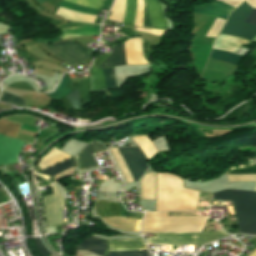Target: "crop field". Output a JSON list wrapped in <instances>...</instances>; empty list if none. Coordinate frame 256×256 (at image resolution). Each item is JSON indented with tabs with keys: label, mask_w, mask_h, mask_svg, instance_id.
Returning <instances> with one entry per match:
<instances>
[{
	"label": "crop field",
	"mask_w": 256,
	"mask_h": 256,
	"mask_svg": "<svg viewBox=\"0 0 256 256\" xmlns=\"http://www.w3.org/2000/svg\"><path fill=\"white\" fill-rule=\"evenodd\" d=\"M75 84H77L81 90V93L83 95L84 104H88L91 102L90 98V77L83 78L77 81H74Z\"/></svg>",
	"instance_id": "21"
},
{
	"label": "crop field",
	"mask_w": 256,
	"mask_h": 256,
	"mask_svg": "<svg viewBox=\"0 0 256 256\" xmlns=\"http://www.w3.org/2000/svg\"><path fill=\"white\" fill-rule=\"evenodd\" d=\"M250 103H251V101L245 103L244 105L237 108L236 110H234L232 113H230L229 115H227L223 119H236V118H238L240 115H242L243 113H245L247 110L250 109Z\"/></svg>",
	"instance_id": "27"
},
{
	"label": "crop field",
	"mask_w": 256,
	"mask_h": 256,
	"mask_svg": "<svg viewBox=\"0 0 256 256\" xmlns=\"http://www.w3.org/2000/svg\"><path fill=\"white\" fill-rule=\"evenodd\" d=\"M224 23H225L224 20L216 18L213 25L211 26L208 33L206 34V36L216 37L219 34Z\"/></svg>",
	"instance_id": "26"
},
{
	"label": "crop field",
	"mask_w": 256,
	"mask_h": 256,
	"mask_svg": "<svg viewBox=\"0 0 256 256\" xmlns=\"http://www.w3.org/2000/svg\"><path fill=\"white\" fill-rule=\"evenodd\" d=\"M143 150L148 160L152 158L157 152L148 136H136L132 138Z\"/></svg>",
	"instance_id": "19"
},
{
	"label": "crop field",
	"mask_w": 256,
	"mask_h": 256,
	"mask_svg": "<svg viewBox=\"0 0 256 256\" xmlns=\"http://www.w3.org/2000/svg\"><path fill=\"white\" fill-rule=\"evenodd\" d=\"M75 165V162L74 160H68V161H65L53 168H50V169H47V170H43V171H40L41 173H46V174H49L51 177L54 176L55 174L67 169V168H70L72 166Z\"/></svg>",
	"instance_id": "25"
},
{
	"label": "crop field",
	"mask_w": 256,
	"mask_h": 256,
	"mask_svg": "<svg viewBox=\"0 0 256 256\" xmlns=\"http://www.w3.org/2000/svg\"><path fill=\"white\" fill-rule=\"evenodd\" d=\"M71 156L56 150L55 148L49 152L47 155H45L44 157L41 158L40 162L38 163V165L41 166L42 169L49 167L51 165L60 163L68 158H70Z\"/></svg>",
	"instance_id": "18"
},
{
	"label": "crop field",
	"mask_w": 256,
	"mask_h": 256,
	"mask_svg": "<svg viewBox=\"0 0 256 256\" xmlns=\"http://www.w3.org/2000/svg\"><path fill=\"white\" fill-rule=\"evenodd\" d=\"M67 83H71L70 78H63L61 79L57 89L49 94L51 98H55V99H59L61 97H63L64 95H66L67 93L71 92L68 87L65 85ZM60 100V99H59Z\"/></svg>",
	"instance_id": "23"
},
{
	"label": "crop field",
	"mask_w": 256,
	"mask_h": 256,
	"mask_svg": "<svg viewBox=\"0 0 256 256\" xmlns=\"http://www.w3.org/2000/svg\"><path fill=\"white\" fill-rule=\"evenodd\" d=\"M136 31H141V32H145V33H149L157 36H162L164 32L161 30H153V29H145V28H137Z\"/></svg>",
	"instance_id": "31"
},
{
	"label": "crop field",
	"mask_w": 256,
	"mask_h": 256,
	"mask_svg": "<svg viewBox=\"0 0 256 256\" xmlns=\"http://www.w3.org/2000/svg\"><path fill=\"white\" fill-rule=\"evenodd\" d=\"M35 245L36 248L38 250V252L42 255V256H46L49 252L47 251V249L42 245L41 241L39 238H35Z\"/></svg>",
	"instance_id": "30"
},
{
	"label": "crop field",
	"mask_w": 256,
	"mask_h": 256,
	"mask_svg": "<svg viewBox=\"0 0 256 256\" xmlns=\"http://www.w3.org/2000/svg\"><path fill=\"white\" fill-rule=\"evenodd\" d=\"M94 208L100 218L120 216L121 208L119 204L97 201ZM102 220L121 230L139 231L141 224V220L125 217L106 218Z\"/></svg>",
	"instance_id": "7"
},
{
	"label": "crop field",
	"mask_w": 256,
	"mask_h": 256,
	"mask_svg": "<svg viewBox=\"0 0 256 256\" xmlns=\"http://www.w3.org/2000/svg\"><path fill=\"white\" fill-rule=\"evenodd\" d=\"M213 199L233 201L236 214L256 216V192L224 190L214 193ZM240 215H236L238 233L256 234V217Z\"/></svg>",
	"instance_id": "4"
},
{
	"label": "crop field",
	"mask_w": 256,
	"mask_h": 256,
	"mask_svg": "<svg viewBox=\"0 0 256 256\" xmlns=\"http://www.w3.org/2000/svg\"><path fill=\"white\" fill-rule=\"evenodd\" d=\"M104 151H105L104 146L101 143L93 140L80 154L75 156L79 163L80 171L97 167L98 165L92 154L100 153Z\"/></svg>",
	"instance_id": "14"
},
{
	"label": "crop field",
	"mask_w": 256,
	"mask_h": 256,
	"mask_svg": "<svg viewBox=\"0 0 256 256\" xmlns=\"http://www.w3.org/2000/svg\"><path fill=\"white\" fill-rule=\"evenodd\" d=\"M45 47L55 54L64 57L74 65L87 60L90 56L86 53L88 50L72 43L71 41L45 45Z\"/></svg>",
	"instance_id": "9"
},
{
	"label": "crop field",
	"mask_w": 256,
	"mask_h": 256,
	"mask_svg": "<svg viewBox=\"0 0 256 256\" xmlns=\"http://www.w3.org/2000/svg\"><path fill=\"white\" fill-rule=\"evenodd\" d=\"M30 7L34 8L37 11H41L42 9L33 1V0H27Z\"/></svg>",
	"instance_id": "34"
},
{
	"label": "crop field",
	"mask_w": 256,
	"mask_h": 256,
	"mask_svg": "<svg viewBox=\"0 0 256 256\" xmlns=\"http://www.w3.org/2000/svg\"><path fill=\"white\" fill-rule=\"evenodd\" d=\"M107 246V241L101 240L92 236L87 237L86 239L82 240L75 249L88 251L92 253L99 254L101 256L105 255Z\"/></svg>",
	"instance_id": "16"
},
{
	"label": "crop field",
	"mask_w": 256,
	"mask_h": 256,
	"mask_svg": "<svg viewBox=\"0 0 256 256\" xmlns=\"http://www.w3.org/2000/svg\"><path fill=\"white\" fill-rule=\"evenodd\" d=\"M110 149L115 159L117 160L127 182H133L132 177L136 182L140 178V176L147 170L148 165L146 162V158L139 148H132V147L118 148L120 154L122 155L124 161L126 162L132 174V177L121 155L119 154L117 148H110Z\"/></svg>",
	"instance_id": "5"
},
{
	"label": "crop field",
	"mask_w": 256,
	"mask_h": 256,
	"mask_svg": "<svg viewBox=\"0 0 256 256\" xmlns=\"http://www.w3.org/2000/svg\"><path fill=\"white\" fill-rule=\"evenodd\" d=\"M156 173L146 174L142 180V199L155 200Z\"/></svg>",
	"instance_id": "17"
},
{
	"label": "crop field",
	"mask_w": 256,
	"mask_h": 256,
	"mask_svg": "<svg viewBox=\"0 0 256 256\" xmlns=\"http://www.w3.org/2000/svg\"><path fill=\"white\" fill-rule=\"evenodd\" d=\"M52 189L54 194L43 198L48 227L63 224L61 207L64 203L54 184H52Z\"/></svg>",
	"instance_id": "10"
},
{
	"label": "crop field",
	"mask_w": 256,
	"mask_h": 256,
	"mask_svg": "<svg viewBox=\"0 0 256 256\" xmlns=\"http://www.w3.org/2000/svg\"><path fill=\"white\" fill-rule=\"evenodd\" d=\"M20 125L0 119V134L15 138L20 129Z\"/></svg>",
	"instance_id": "20"
},
{
	"label": "crop field",
	"mask_w": 256,
	"mask_h": 256,
	"mask_svg": "<svg viewBox=\"0 0 256 256\" xmlns=\"http://www.w3.org/2000/svg\"><path fill=\"white\" fill-rule=\"evenodd\" d=\"M235 8L218 1L193 7V13L207 14L227 19L228 14Z\"/></svg>",
	"instance_id": "15"
},
{
	"label": "crop field",
	"mask_w": 256,
	"mask_h": 256,
	"mask_svg": "<svg viewBox=\"0 0 256 256\" xmlns=\"http://www.w3.org/2000/svg\"><path fill=\"white\" fill-rule=\"evenodd\" d=\"M110 251H119V250H139V249H148L146 243L143 239H132V240H108ZM116 253H121L129 256H150L148 250H139V251H119ZM116 253H109V256H125Z\"/></svg>",
	"instance_id": "11"
},
{
	"label": "crop field",
	"mask_w": 256,
	"mask_h": 256,
	"mask_svg": "<svg viewBox=\"0 0 256 256\" xmlns=\"http://www.w3.org/2000/svg\"><path fill=\"white\" fill-rule=\"evenodd\" d=\"M241 174H256V166L230 170L227 172V175H241ZM256 191V189H255Z\"/></svg>",
	"instance_id": "28"
},
{
	"label": "crop field",
	"mask_w": 256,
	"mask_h": 256,
	"mask_svg": "<svg viewBox=\"0 0 256 256\" xmlns=\"http://www.w3.org/2000/svg\"><path fill=\"white\" fill-rule=\"evenodd\" d=\"M251 7L256 8V0H245Z\"/></svg>",
	"instance_id": "35"
},
{
	"label": "crop field",
	"mask_w": 256,
	"mask_h": 256,
	"mask_svg": "<svg viewBox=\"0 0 256 256\" xmlns=\"http://www.w3.org/2000/svg\"><path fill=\"white\" fill-rule=\"evenodd\" d=\"M152 12L157 28L167 29L168 24L163 15L162 7L158 0H146ZM137 11V0H127L126 16L123 23L132 25L134 24L135 15ZM134 26L144 27V1L138 0V11Z\"/></svg>",
	"instance_id": "6"
},
{
	"label": "crop field",
	"mask_w": 256,
	"mask_h": 256,
	"mask_svg": "<svg viewBox=\"0 0 256 256\" xmlns=\"http://www.w3.org/2000/svg\"><path fill=\"white\" fill-rule=\"evenodd\" d=\"M127 64H148L142 53V43L140 38L129 39L125 43ZM124 44L114 47L113 53L100 66H117L126 64ZM107 88L116 87L113 67L103 68ZM102 68H95L92 66L91 72L93 74V91L105 89V81Z\"/></svg>",
	"instance_id": "2"
},
{
	"label": "crop field",
	"mask_w": 256,
	"mask_h": 256,
	"mask_svg": "<svg viewBox=\"0 0 256 256\" xmlns=\"http://www.w3.org/2000/svg\"><path fill=\"white\" fill-rule=\"evenodd\" d=\"M0 188H1V186H0Z\"/></svg>",
	"instance_id": "38"
},
{
	"label": "crop field",
	"mask_w": 256,
	"mask_h": 256,
	"mask_svg": "<svg viewBox=\"0 0 256 256\" xmlns=\"http://www.w3.org/2000/svg\"><path fill=\"white\" fill-rule=\"evenodd\" d=\"M199 192L182 187V181L171 174L158 173L156 211L197 210Z\"/></svg>",
	"instance_id": "3"
},
{
	"label": "crop field",
	"mask_w": 256,
	"mask_h": 256,
	"mask_svg": "<svg viewBox=\"0 0 256 256\" xmlns=\"http://www.w3.org/2000/svg\"><path fill=\"white\" fill-rule=\"evenodd\" d=\"M252 10L248 4L243 2L230 14L222 32L242 36L251 40L256 35V26L243 22Z\"/></svg>",
	"instance_id": "8"
},
{
	"label": "crop field",
	"mask_w": 256,
	"mask_h": 256,
	"mask_svg": "<svg viewBox=\"0 0 256 256\" xmlns=\"http://www.w3.org/2000/svg\"><path fill=\"white\" fill-rule=\"evenodd\" d=\"M219 1L228 3L236 8L243 0H219Z\"/></svg>",
	"instance_id": "33"
},
{
	"label": "crop field",
	"mask_w": 256,
	"mask_h": 256,
	"mask_svg": "<svg viewBox=\"0 0 256 256\" xmlns=\"http://www.w3.org/2000/svg\"><path fill=\"white\" fill-rule=\"evenodd\" d=\"M254 253H256V252H254Z\"/></svg>",
	"instance_id": "36"
},
{
	"label": "crop field",
	"mask_w": 256,
	"mask_h": 256,
	"mask_svg": "<svg viewBox=\"0 0 256 256\" xmlns=\"http://www.w3.org/2000/svg\"><path fill=\"white\" fill-rule=\"evenodd\" d=\"M207 216L167 217V212H146L142 232H202ZM223 231L205 233H155L149 244L203 245L226 236Z\"/></svg>",
	"instance_id": "1"
},
{
	"label": "crop field",
	"mask_w": 256,
	"mask_h": 256,
	"mask_svg": "<svg viewBox=\"0 0 256 256\" xmlns=\"http://www.w3.org/2000/svg\"><path fill=\"white\" fill-rule=\"evenodd\" d=\"M1 102L9 103V104H14L18 106L25 107L26 101L16 95L6 93L2 91L1 97H0Z\"/></svg>",
	"instance_id": "24"
},
{
	"label": "crop field",
	"mask_w": 256,
	"mask_h": 256,
	"mask_svg": "<svg viewBox=\"0 0 256 256\" xmlns=\"http://www.w3.org/2000/svg\"><path fill=\"white\" fill-rule=\"evenodd\" d=\"M245 22L256 25V10H253V12L249 15Z\"/></svg>",
	"instance_id": "32"
},
{
	"label": "crop field",
	"mask_w": 256,
	"mask_h": 256,
	"mask_svg": "<svg viewBox=\"0 0 256 256\" xmlns=\"http://www.w3.org/2000/svg\"><path fill=\"white\" fill-rule=\"evenodd\" d=\"M210 57L220 59L235 65H237L238 61L241 58V56L239 55H234V54H230V53H226L218 50H213Z\"/></svg>",
	"instance_id": "22"
},
{
	"label": "crop field",
	"mask_w": 256,
	"mask_h": 256,
	"mask_svg": "<svg viewBox=\"0 0 256 256\" xmlns=\"http://www.w3.org/2000/svg\"><path fill=\"white\" fill-rule=\"evenodd\" d=\"M68 1L78 3L84 6H88L94 9H98V10L100 9L102 3L104 2V0H68ZM56 15L61 16L66 20L87 22V23H92L95 17V16L87 15L84 13L72 11L69 9L61 8V7L58 8Z\"/></svg>",
	"instance_id": "12"
},
{
	"label": "crop field",
	"mask_w": 256,
	"mask_h": 256,
	"mask_svg": "<svg viewBox=\"0 0 256 256\" xmlns=\"http://www.w3.org/2000/svg\"><path fill=\"white\" fill-rule=\"evenodd\" d=\"M66 97L73 106V108L82 107L76 90L68 94Z\"/></svg>",
	"instance_id": "29"
},
{
	"label": "crop field",
	"mask_w": 256,
	"mask_h": 256,
	"mask_svg": "<svg viewBox=\"0 0 256 256\" xmlns=\"http://www.w3.org/2000/svg\"><path fill=\"white\" fill-rule=\"evenodd\" d=\"M23 143V141L0 135V164L18 162L16 157Z\"/></svg>",
	"instance_id": "13"
},
{
	"label": "crop field",
	"mask_w": 256,
	"mask_h": 256,
	"mask_svg": "<svg viewBox=\"0 0 256 256\" xmlns=\"http://www.w3.org/2000/svg\"><path fill=\"white\" fill-rule=\"evenodd\" d=\"M0 110H2V109H0Z\"/></svg>",
	"instance_id": "37"
}]
</instances>
